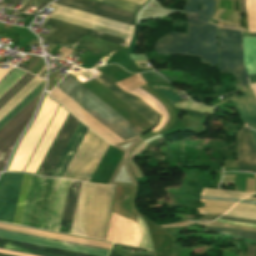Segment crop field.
Here are the masks:
<instances>
[{"label": "crop field", "instance_id": "8a807250", "mask_svg": "<svg viewBox=\"0 0 256 256\" xmlns=\"http://www.w3.org/2000/svg\"><path fill=\"white\" fill-rule=\"evenodd\" d=\"M69 75V74H68ZM66 76L64 80L56 87L66 95L71 97L75 102H77L85 111H87L93 118L99 121L102 125L108 128L111 132H113L120 139L127 140L134 136L141 134L136 128L130 125L127 121H125L122 117L116 114L113 110H111L108 106L102 103L99 99H97L94 95L88 92L85 88H83L80 84L74 81L71 77ZM60 94H62L65 98H67L71 103H73L78 109H80L85 115H87L91 120L97 123L100 127L110 133L117 140L122 142L118 137H116L113 133L107 130L104 126H102L99 122L93 119L88 113H86L78 104H76L71 98L63 94L58 89ZM53 90L50 93V96L53 97L58 102L62 103L73 115H75L79 120H81L84 124H86L89 128L103 137L111 144H115L117 141L110 134L100 128L97 124L91 121L87 116H85L80 110H78L73 104H71L67 99H65L62 95H60L57 91Z\"/></svg>", "mask_w": 256, "mask_h": 256}, {"label": "crop field", "instance_id": "ac0d7876", "mask_svg": "<svg viewBox=\"0 0 256 256\" xmlns=\"http://www.w3.org/2000/svg\"><path fill=\"white\" fill-rule=\"evenodd\" d=\"M115 188L82 182L70 234L104 240Z\"/></svg>", "mask_w": 256, "mask_h": 256}, {"label": "crop field", "instance_id": "34b2d1b8", "mask_svg": "<svg viewBox=\"0 0 256 256\" xmlns=\"http://www.w3.org/2000/svg\"><path fill=\"white\" fill-rule=\"evenodd\" d=\"M156 50L160 54H177L202 57L210 67L218 65L216 26L188 25V35L170 33L159 40Z\"/></svg>", "mask_w": 256, "mask_h": 256}, {"label": "crop field", "instance_id": "412701ff", "mask_svg": "<svg viewBox=\"0 0 256 256\" xmlns=\"http://www.w3.org/2000/svg\"><path fill=\"white\" fill-rule=\"evenodd\" d=\"M108 145L88 129L63 178L89 181Z\"/></svg>", "mask_w": 256, "mask_h": 256}, {"label": "crop field", "instance_id": "f4fd0767", "mask_svg": "<svg viewBox=\"0 0 256 256\" xmlns=\"http://www.w3.org/2000/svg\"><path fill=\"white\" fill-rule=\"evenodd\" d=\"M52 6H56L58 8L51 15V17L130 40L133 37V26H129L55 3H53Z\"/></svg>", "mask_w": 256, "mask_h": 256}, {"label": "crop field", "instance_id": "dd49c442", "mask_svg": "<svg viewBox=\"0 0 256 256\" xmlns=\"http://www.w3.org/2000/svg\"><path fill=\"white\" fill-rule=\"evenodd\" d=\"M221 72H232L242 86L249 84L243 64L242 32L218 28Z\"/></svg>", "mask_w": 256, "mask_h": 256}, {"label": "crop field", "instance_id": "e52e79f7", "mask_svg": "<svg viewBox=\"0 0 256 256\" xmlns=\"http://www.w3.org/2000/svg\"><path fill=\"white\" fill-rule=\"evenodd\" d=\"M45 23V22H44ZM51 25L50 28L56 29L53 34L45 37L44 40L52 42L64 47L74 49L76 45L80 42L81 38L86 35L93 38L101 39L111 43L119 44L128 47L130 41L108 34L92 31L83 27H79L67 22H63L54 18L49 17L46 23L43 25L47 27Z\"/></svg>", "mask_w": 256, "mask_h": 256}, {"label": "crop field", "instance_id": "d8731c3e", "mask_svg": "<svg viewBox=\"0 0 256 256\" xmlns=\"http://www.w3.org/2000/svg\"><path fill=\"white\" fill-rule=\"evenodd\" d=\"M40 94L0 130V171H2L18 136L31 118Z\"/></svg>", "mask_w": 256, "mask_h": 256}, {"label": "crop field", "instance_id": "5a996713", "mask_svg": "<svg viewBox=\"0 0 256 256\" xmlns=\"http://www.w3.org/2000/svg\"><path fill=\"white\" fill-rule=\"evenodd\" d=\"M50 184L32 179L21 225L40 228Z\"/></svg>", "mask_w": 256, "mask_h": 256}, {"label": "crop field", "instance_id": "3316defc", "mask_svg": "<svg viewBox=\"0 0 256 256\" xmlns=\"http://www.w3.org/2000/svg\"><path fill=\"white\" fill-rule=\"evenodd\" d=\"M22 176L4 173L0 178V221H13Z\"/></svg>", "mask_w": 256, "mask_h": 256}, {"label": "crop field", "instance_id": "28ad6ade", "mask_svg": "<svg viewBox=\"0 0 256 256\" xmlns=\"http://www.w3.org/2000/svg\"><path fill=\"white\" fill-rule=\"evenodd\" d=\"M42 82L43 80L35 77L30 83H28L18 94H16L6 105L0 109V120L5 117L16 105H18ZM43 83L39 85L30 95H28L18 106H16L5 118L0 121V129L41 92Z\"/></svg>", "mask_w": 256, "mask_h": 256}, {"label": "crop field", "instance_id": "d1516ede", "mask_svg": "<svg viewBox=\"0 0 256 256\" xmlns=\"http://www.w3.org/2000/svg\"><path fill=\"white\" fill-rule=\"evenodd\" d=\"M79 122H80L79 120H77L74 116L70 114L57 140L55 141L43 165L41 166L38 172V175L50 176L57 161L59 160L61 154L63 153L66 145L68 144L75 129L77 128Z\"/></svg>", "mask_w": 256, "mask_h": 256}, {"label": "crop field", "instance_id": "22f410ed", "mask_svg": "<svg viewBox=\"0 0 256 256\" xmlns=\"http://www.w3.org/2000/svg\"><path fill=\"white\" fill-rule=\"evenodd\" d=\"M101 84L104 85L116 96H118L121 100H123L126 104H128L131 108H133L136 112L142 115L150 123H152L153 125L157 123L160 114H158L155 110H153L141 99H139L134 95L124 92L109 79L104 81Z\"/></svg>", "mask_w": 256, "mask_h": 256}, {"label": "crop field", "instance_id": "cbeb9de0", "mask_svg": "<svg viewBox=\"0 0 256 256\" xmlns=\"http://www.w3.org/2000/svg\"><path fill=\"white\" fill-rule=\"evenodd\" d=\"M244 96L231 99L243 124L256 129V97L249 86L241 90Z\"/></svg>", "mask_w": 256, "mask_h": 256}, {"label": "crop field", "instance_id": "5142ce71", "mask_svg": "<svg viewBox=\"0 0 256 256\" xmlns=\"http://www.w3.org/2000/svg\"><path fill=\"white\" fill-rule=\"evenodd\" d=\"M202 4V12H198L199 3ZM187 15V23L201 26L208 23L211 16L214 14L213 0H187L183 9Z\"/></svg>", "mask_w": 256, "mask_h": 256}, {"label": "crop field", "instance_id": "d9b57169", "mask_svg": "<svg viewBox=\"0 0 256 256\" xmlns=\"http://www.w3.org/2000/svg\"><path fill=\"white\" fill-rule=\"evenodd\" d=\"M12 73V72H11ZM10 73V74H11ZM24 71L16 69L11 75H9L0 84V95L14 82L16 81ZM34 76L24 73L16 82H14L1 96H0V108L6 104L16 93H18L28 82H30Z\"/></svg>", "mask_w": 256, "mask_h": 256}, {"label": "crop field", "instance_id": "733c2abd", "mask_svg": "<svg viewBox=\"0 0 256 256\" xmlns=\"http://www.w3.org/2000/svg\"><path fill=\"white\" fill-rule=\"evenodd\" d=\"M69 1H73V2H76V3H80V4H83V5H87V6H90V7H94V8L100 9V10H104V11H107V12H111V13H114V14H118V15H121V16L132 18V19H133V15H134L133 13H135V11L140 7V5H136V4H133V3L126 2V1H122V0H90V1L97 2V3L112 6V7H115V8H119V9H122V10H126V11H129V12H133V13H129V12L122 11V10H119V9L111 8V7L104 6V5H101V4H97V3H94V2H90V1H87V0H69Z\"/></svg>", "mask_w": 256, "mask_h": 256}, {"label": "crop field", "instance_id": "4a817a6b", "mask_svg": "<svg viewBox=\"0 0 256 256\" xmlns=\"http://www.w3.org/2000/svg\"><path fill=\"white\" fill-rule=\"evenodd\" d=\"M87 129L88 128L82 125L80 122L76 132L74 133L69 145L67 146L63 156L61 157L57 167L55 168L51 176L62 178Z\"/></svg>", "mask_w": 256, "mask_h": 256}, {"label": "crop field", "instance_id": "bc2a9ffb", "mask_svg": "<svg viewBox=\"0 0 256 256\" xmlns=\"http://www.w3.org/2000/svg\"><path fill=\"white\" fill-rule=\"evenodd\" d=\"M69 181L59 179L55 198L51 210V215L48 223L47 229L57 231L59 230V225L61 221L63 206L65 202L66 192L68 188Z\"/></svg>", "mask_w": 256, "mask_h": 256}, {"label": "crop field", "instance_id": "214f88e0", "mask_svg": "<svg viewBox=\"0 0 256 256\" xmlns=\"http://www.w3.org/2000/svg\"><path fill=\"white\" fill-rule=\"evenodd\" d=\"M79 186H80V182L70 181L67 198H66V203H65V207H64V212H63V217H62V221H61V223H63V224L71 225ZM63 224H61L59 232L69 234L70 226L63 225Z\"/></svg>", "mask_w": 256, "mask_h": 256}, {"label": "crop field", "instance_id": "92a150f3", "mask_svg": "<svg viewBox=\"0 0 256 256\" xmlns=\"http://www.w3.org/2000/svg\"><path fill=\"white\" fill-rule=\"evenodd\" d=\"M0 228L23 232V233H28V234L39 235V236H44V237H49V238H55V239H60V240H65V241H70V242H76V243H81V244H86V245H91V246H96V247H102V248H107V249H110V247H111L110 244L94 242V241H89V240H84V239H79V238H74V237H69V236H63V235H58V234H53V233H48V232H43V231H37V230H32V229H27V228L12 226V225H6V224H1V223H0Z\"/></svg>", "mask_w": 256, "mask_h": 256}, {"label": "crop field", "instance_id": "dafd665d", "mask_svg": "<svg viewBox=\"0 0 256 256\" xmlns=\"http://www.w3.org/2000/svg\"><path fill=\"white\" fill-rule=\"evenodd\" d=\"M55 3H59V4H62V5H65V6H69V7L75 8V9L86 11V12H89V13H92V14H96V15H99V16H102V17H106V18H109V19H113V20H116V21L123 22V23L134 26V22H133L132 19H128V18H125V17H121V16H118V15H114V14H111V13L100 11V10H97V9H94V8H90V7L83 6V5H80V4H76V3H73V2H69V1H66V0H57Z\"/></svg>", "mask_w": 256, "mask_h": 256}, {"label": "crop field", "instance_id": "00972430", "mask_svg": "<svg viewBox=\"0 0 256 256\" xmlns=\"http://www.w3.org/2000/svg\"><path fill=\"white\" fill-rule=\"evenodd\" d=\"M0 243L34 249V250H40V251H45V252H50V253H55L60 255H66V256H89V255H84V254H79V253L54 249V248H48V247H43V246H38V245H33V244L3 239V238H0Z\"/></svg>", "mask_w": 256, "mask_h": 256}, {"label": "crop field", "instance_id": "a9b5d70f", "mask_svg": "<svg viewBox=\"0 0 256 256\" xmlns=\"http://www.w3.org/2000/svg\"><path fill=\"white\" fill-rule=\"evenodd\" d=\"M237 154L240 171L253 173L242 131L238 133Z\"/></svg>", "mask_w": 256, "mask_h": 256}, {"label": "crop field", "instance_id": "4177f3b9", "mask_svg": "<svg viewBox=\"0 0 256 256\" xmlns=\"http://www.w3.org/2000/svg\"><path fill=\"white\" fill-rule=\"evenodd\" d=\"M200 195L207 196H218V197H230V198H238L243 199L251 194L248 193H240L236 191H228V190H210V189H202Z\"/></svg>", "mask_w": 256, "mask_h": 256}, {"label": "crop field", "instance_id": "730fd06b", "mask_svg": "<svg viewBox=\"0 0 256 256\" xmlns=\"http://www.w3.org/2000/svg\"><path fill=\"white\" fill-rule=\"evenodd\" d=\"M228 216L256 220V209L234 206L227 214Z\"/></svg>", "mask_w": 256, "mask_h": 256}, {"label": "crop field", "instance_id": "eef30255", "mask_svg": "<svg viewBox=\"0 0 256 256\" xmlns=\"http://www.w3.org/2000/svg\"><path fill=\"white\" fill-rule=\"evenodd\" d=\"M204 232L231 233V235H234V236L256 240V232H247V231L222 229V228H210V227H205Z\"/></svg>", "mask_w": 256, "mask_h": 256}, {"label": "crop field", "instance_id": "ae1a2a85", "mask_svg": "<svg viewBox=\"0 0 256 256\" xmlns=\"http://www.w3.org/2000/svg\"><path fill=\"white\" fill-rule=\"evenodd\" d=\"M242 131L245 137L248 154L251 158L252 166L254 168V173H256V150H255L254 142H253L251 133L247 129L244 128L242 129Z\"/></svg>", "mask_w": 256, "mask_h": 256}, {"label": "crop field", "instance_id": "d3111659", "mask_svg": "<svg viewBox=\"0 0 256 256\" xmlns=\"http://www.w3.org/2000/svg\"><path fill=\"white\" fill-rule=\"evenodd\" d=\"M137 221H138V224L140 227V231L142 233L139 247L153 250L151 241H150V237H149V233L147 230V226H146L144 220L141 217H137Z\"/></svg>", "mask_w": 256, "mask_h": 256}, {"label": "crop field", "instance_id": "750c4746", "mask_svg": "<svg viewBox=\"0 0 256 256\" xmlns=\"http://www.w3.org/2000/svg\"><path fill=\"white\" fill-rule=\"evenodd\" d=\"M204 206H210V207L198 208L201 215H203V214H223L232 207L230 205H214V204H204Z\"/></svg>", "mask_w": 256, "mask_h": 256}, {"label": "crop field", "instance_id": "bd1437ed", "mask_svg": "<svg viewBox=\"0 0 256 256\" xmlns=\"http://www.w3.org/2000/svg\"><path fill=\"white\" fill-rule=\"evenodd\" d=\"M174 106L200 111V112H203V113H206V114H209V115H211V113L213 111V108H211V107L196 104V103L191 102L190 100L184 101V102H181V103H177Z\"/></svg>", "mask_w": 256, "mask_h": 256}, {"label": "crop field", "instance_id": "1d83c4d3", "mask_svg": "<svg viewBox=\"0 0 256 256\" xmlns=\"http://www.w3.org/2000/svg\"><path fill=\"white\" fill-rule=\"evenodd\" d=\"M0 248L24 252V253H30V254L40 255V256H60V255H55V254H50V253H45V252H40V251H34V250H29V249L14 247V246H8V245H3V244H0Z\"/></svg>", "mask_w": 256, "mask_h": 256}, {"label": "crop field", "instance_id": "120bbe31", "mask_svg": "<svg viewBox=\"0 0 256 256\" xmlns=\"http://www.w3.org/2000/svg\"><path fill=\"white\" fill-rule=\"evenodd\" d=\"M200 199H207V200H223V201H235L238 202L237 199H229V198H217V197H206V196H200Z\"/></svg>", "mask_w": 256, "mask_h": 256}, {"label": "crop field", "instance_id": "d32e631a", "mask_svg": "<svg viewBox=\"0 0 256 256\" xmlns=\"http://www.w3.org/2000/svg\"><path fill=\"white\" fill-rule=\"evenodd\" d=\"M220 219L229 220V221H240V222L256 223V221H254V220H243V219L230 218V217H225V216L220 217Z\"/></svg>", "mask_w": 256, "mask_h": 256}, {"label": "crop field", "instance_id": "5866460e", "mask_svg": "<svg viewBox=\"0 0 256 256\" xmlns=\"http://www.w3.org/2000/svg\"><path fill=\"white\" fill-rule=\"evenodd\" d=\"M0 252L1 253H6V254H11V255H17V256H35V255H30V254H24V253H19V252L3 250V249H0Z\"/></svg>", "mask_w": 256, "mask_h": 256}, {"label": "crop field", "instance_id": "028f5c9d", "mask_svg": "<svg viewBox=\"0 0 256 256\" xmlns=\"http://www.w3.org/2000/svg\"><path fill=\"white\" fill-rule=\"evenodd\" d=\"M200 202L215 203V204H230V205L236 204V203H234V202L206 201V200H200Z\"/></svg>", "mask_w": 256, "mask_h": 256}, {"label": "crop field", "instance_id": "e1f06a70", "mask_svg": "<svg viewBox=\"0 0 256 256\" xmlns=\"http://www.w3.org/2000/svg\"><path fill=\"white\" fill-rule=\"evenodd\" d=\"M37 58H38V56H36L27 66H25L23 64H19L18 67L26 70Z\"/></svg>", "mask_w": 256, "mask_h": 256}, {"label": "crop field", "instance_id": "0bd39190", "mask_svg": "<svg viewBox=\"0 0 256 256\" xmlns=\"http://www.w3.org/2000/svg\"><path fill=\"white\" fill-rule=\"evenodd\" d=\"M254 250L255 248L248 247L246 256H254Z\"/></svg>", "mask_w": 256, "mask_h": 256}, {"label": "crop field", "instance_id": "b80d0937", "mask_svg": "<svg viewBox=\"0 0 256 256\" xmlns=\"http://www.w3.org/2000/svg\"><path fill=\"white\" fill-rule=\"evenodd\" d=\"M47 5V3H45V2H41V4L38 6V8L35 10V12H37V11H39V10H41L43 7H45ZM34 12V13H35Z\"/></svg>", "mask_w": 256, "mask_h": 256}, {"label": "crop field", "instance_id": "c035e120", "mask_svg": "<svg viewBox=\"0 0 256 256\" xmlns=\"http://www.w3.org/2000/svg\"><path fill=\"white\" fill-rule=\"evenodd\" d=\"M0 230H2V229H0ZM3 231H8V230H3ZM8 232H13V231H8ZM14 233H18V232H14ZM19 234H23V233H19ZM25 235H28V234H25ZM30 236H34V235H30ZM36 237H39V236H36ZM41 238H44V237H41ZM47 239H49V238H47ZM52 240H55V239H52ZM57 241H60V240H57ZM63 242H65V241H63ZM68 243H70V242H68ZM74 244H76V243H74ZM79 245H81V244H79ZM86 246V245H85ZM91 247V246H90ZM102 249V248H101Z\"/></svg>", "mask_w": 256, "mask_h": 256}, {"label": "crop field", "instance_id": "c21b1889", "mask_svg": "<svg viewBox=\"0 0 256 256\" xmlns=\"http://www.w3.org/2000/svg\"><path fill=\"white\" fill-rule=\"evenodd\" d=\"M221 215H208V216H203V217H213V218H217ZM198 220H215V219H198Z\"/></svg>", "mask_w": 256, "mask_h": 256}, {"label": "crop field", "instance_id": "03da06ac", "mask_svg": "<svg viewBox=\"0 0 256 256\" xmlns=\"http://www.w3.org/2000/svg\"><path fill=\"white\" fill-rule=\"evenodd\" d=\"M126 1H129V2H133V3H136V4L142 5L143 2H145L146 0H139V1H143V2H139V1H136V0H126Z\"/></svg>", "mask_w": 256, "mask_h": 256}, {"label": "crop field", "instance_id": "b54c1fbb", "mask_svg": "<svg viewBox=\"0 0 256 256\" xmlns=\"http://www.w3.org/2000/svg\"><path fill=\"white\" fill-rule=\"evenodd\" d=\"M236 205H238V206H244V207H250V208H256V206H254V205H247V204H241V203H238V204H236Z\"/></svg>", "mask_w": 256, "mask_h": 256}, {"label": "crop field", "instance_id": "5d738f31", "mask_svg": "<svg viewBox=\"0 0 256 256\" xmlns=\"http://www.w3.org/2000/svg\"><path fill=\"white\" fill-rule=\"evenodd\" d=\"M251 130V133H252V136H253V139H254V142H255V146H256V132L252 129Z\"/></svg>", "mask_w": 256, "mask_h": 256}, {"label": "crop field", "instance_id": "d23c7cc5", "mask_svg": "<svg viewBox=\"0 0 256 256\" xmlns=\"http://www.w3.org/2000/svg\"><path fill=\"white\" fill-rule=\"evenodd\" d=\"M32 2V0H29L26 5L22 8L21 12H24L25 9L28 7V5Z\"/></svg>", "mask_w": 256, "mask_h": 256}, {"label": "crop field", "instance_id": "425ffa30", "mask_svg": "<svg viewBox=\"0 0 256 256\" xmlns=\"http://www.w3.org/2000/svg\"><path fill=\"white\" fill-rule=\"evenodd\" d=\"M21 0H10V4H15V5H18V3L20 2Z\"/></svg>", "mask_w": 256, "mask_h": 256}, {"label": "crop field", "instance_id": "25e5ab78", "mask_svg": "<svg viewBox=\"0 0 256 256\" xmlns=\"http://www.w3.org/2000/svg\"><path fill=\"white\" fill-rule=\"evenodd\" d=\"M241 203H247V204H256V202H251V201H245V200H242L240 201Z\"/></svg>", "mask_w": 256, "mask_h": 256}, {"label": "crop field", "instance_id": "73cf0c24", "mask_svg": "<svg viewBox=\"0 0 256 256\" xmlns=\"http://www.w3.org/2000/svg\"><path fill=\"white\" fill-rule=\"evenodd\" d=\"M109 256H119L118 254H116L114 251H111Z\"/></svg>", "mask_w": 256, "mask_h": 256}, {"label": "crop field", "instance_id": "89e229c0", "mask_svg": "<svg viewBox=\"0 0 256 256\" xmlns=\"http://www.w3.org/2000/svg\"><path fill=\"white\" fill-rule=\"evenodd\" d=\"M45 94H46V93H45ZM44 96H45V95H44ZM48 97H49V96H48ZM51 100H52V99H51ZM23 135H24V134H23ZM21 138H22V137H21ZM20 141H21V140H20ZM20 141H19V142H20ZM18 144H19V143H18ZM13 156H14V155H13ZM12 158H13V157H12ZM11 160H12V159H11ZM10 162H11V161H10ZM9 164H10V163H9ZM8 166H9V165H8ZM6 170H7V169H6ZM6 170H5V172H14V171H6Z\"/></svg>", "mask_w": 256, "mask_h": 256}, {"label": "crop field", "instance_id": "1f2cbd36", "mask_svg": "<svg viewBox=\"0 0 256 256\" xmlns=\"http://www.w3.org/2000/svg\"><path fill=\"white\" fill-rule=\"evenodd\" d=\"M245 199H247V200H255L256 201V198H252V197H247Z\"/></svg>", "mask_w": 256, "mask_h": 256}, {"label": "crop field", "instance_id": "dbb93151", "mask_svg": "<svg viewBox=\"0 0 256 256\" xmlns=\"http://www.w3.org/2000/svg\"><path fill=\"white\" fill-rule=\"evenodd\" d=\"M0 256H11V255H6V254H1V253H0Z\"/></svg>", "mask_w": 256, "mask_h": 256}, {"label": "crop field", "instance_id": "0fb4a251", "mask_svg": "<svg viewBox=\"0 0 256 256\" xmlns=\"http://www.w3.org/2000/svg\"><path fill=\"white\" fill-rule=\"evenodd\" d=\"M43 1H45V2L49 3V2H51L52 0H43Z\"/></svg>", "mask_w": 256, "mask_h": 256}, {"label": "crop field", "instance_id": "1d79db26", "mask_svg": "<svg viewBox=\"0 0 256 256\" xmlns=\"http://www.w3.org/2000/svg\"><path fill=\"white\" fill-rule=\"evenodd\" d=\"M62 106V105H61ZM63 107V106H62ZM64 108V107H63ZM65 109V108H64ZM66 110V109H65ZM67 111V110H66ZM68 112V111H67ZM69 113V112H68ZM70 114V113H69ZM69 116V115H68ZM64 125V124H63ZM63 127V126H62ZM59 134V133H58ZM58 136V135H57ZM53 145V144H52ZM42 165V164H41Z\"/></svg>", "mask_w": 256, "mask_h": 256}]
</instances>
